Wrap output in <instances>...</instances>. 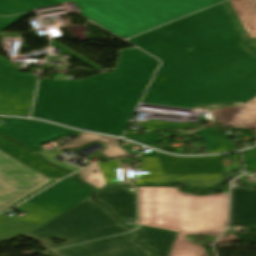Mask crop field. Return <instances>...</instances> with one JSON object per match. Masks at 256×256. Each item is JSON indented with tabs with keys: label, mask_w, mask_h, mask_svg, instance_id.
Instances as JSON below:
<instances>
[{
	"label": "crop field",
	"mask_w": 256,
	"mask_h": 256,
	"mask_svg": "<svg viewBox=\"0 0 256 256\" xmlns=\"http://www.w3.org/2000/svg\"><path fill=\"white\" fill-rule=\"evenodd\" d=\"M220 174L214 175H182V176H153V177H144L145 184L148 182L154 183H167L173 180H184L190 183V185H201L204 187L211 186L220 181ZM194 180H199L200 183H194Z\"/></svg>",
	"instance_id": "obj_17"
},
{
	"label": "crop field",
	"mask_w": 256,
	"mask_h": 256,
	"mask_svg": "<svg viewBox=\"0 0 256 256\" xmlns=\"http://www.w3.org/2000/svg\"><path fill=\"white\" fill-rule=\"evenodd\" d=\"M93 141H99V142L107 143V144H115L103 136L84 133V134L72 139L71 141L67 142L66 144L62 145L61 147L55 148V150L78 148L83 145L89 144Z\"/></svg>",
	"instance_id": "obj_18"
},
{
	"label": "crop field",
	"mask_w": 256,
	"mask_h": 256,
	"mask_svg": "<svg viewBox=\"0 0 256 256\" xmlns=\"http://www.w3.org/2000/svg\"><path fill=\"white\" fill-rule=\"evenodd\" d=\"M176 187H139L140 224L179 232L169 256H208L184 235L218 236L227 225L228 186L220 195L194 196Z\"/></svg>",
	"instance_id": "obj_1"
},
{
	"label": "crop field",
	"mask_w": 256,
	"mask_h": 256,
	"mask_svg": "<svg viewBox=\"0 0 256 256\" xmlns=\"http://www.w3.org/2000/svg\"><path fill=\"white\" fill-rule=\"evenodd\" d=\"M37 154H39V155L43 156L44 158H46V159H48V160L54 162L55 165H57V166H60V167H63V168H66V169H69V170H72V171H74V170L77 169V168H74V167H71V166H68V165H62V164L58 163V161H56V160L53 158V156L56 155V154H58V152H44V151H43V152H39V153H37ZM48 160H47V161H48Z\"/></svg>",
	"instance_id": "obj_28"
},
{
	"label": "crop field",
	"mask_w": 256,
	"mask_h": 256,
	"mask_svg": "<svg viewBox=\"0 0 256 256\" xmlns=\"http://www.w3.org/2000/svg\"><path fill=\"white\" fill-rule=\"evenodd\" d=\"M206 142L207 153H218L237 149L235 144L229 142L225 136L215 129H203L199 132Z\"/></svg>",
	"instance_id": "obj_16"
},
{
	"label": "crop field",
	"mask_w": 256,
	"mask_h": 256,
	"mask_svg": "<svg viewBox=\"0 0 256 256\" xmlns=\"http://www.w3.org/2000/svg\"><path fill=\"white\" fill-rule=\"evenodd\" d=\"M51 46L61 48V50H60V53H59V54H68V55H70V56H72V57L76 58L77 60H79V61H81V62L85 63L86 65H88V66H90V67L94 68L95 70L100 69L99 67H97V66L93 65L92 63H90V62L86 61L85 59H83V58H81V57L77 56L76 54H74V53H72V52L68 51L67 49H65V48L61 47L60 45H58V44H56V43H54V42H51Z\"/></svg>",
	"instance_id": "obj_27"
},
{
	"label": "crop field",
	"mask_w": 256,
	"mask_h": 256,
	"mask_svg": "<svg viewBox=\"0 0 256 256\" xmlns=\"http://www.w3.org/2000/svg\"><path fill=\"white\" fill-rule=\"evenodd\" d=\"M232 155L234 157L235 162L230 163L231 166H229L228 170H225L226 172L237 171V170L241 169L240 164H239V155H238V153L232 154Z\"/></svg>",
	"instance_id": "obj_29"
},
{
	"label": "crop field",
	"mask_w": 256,
	"mask_h": 256,
	"mask_svg": "<svg viewBox=\"0 0 256 256\" xmlns=\"http://www.w3.org/2000/svg\"><path fill=\"white\" fill-rule=\"evenodd\" d=\"M231 223L256 227V189L232 187Z\"/></svg>",
	"instance_id": "obj_12"
},
{
	"label": "crop field",
	"mask_w": 256,
	"mask_h": 256,
	"mask_svg": "<svg viewBox=\"0 0 256 256\" xmlns=\"http://www.w3.org/2000/svg\"><path fill=\"white\" fill-rule=\"evenodd\" d=\"M142 236L138 241L152 249L156 256H168L178 233L142 227L138 229Z\"/></svg>",
	"instance_id": "obj_14"
},
{
	"label": "crop field",
	"mask_w": 256,
	"mask_h": 256,
	"mask_svg": "<svg viewBox=\"0 0 256 256\" xmlns=\"http://www.w3.org/2000/svg\"><path fill=\"white\" fill-rule=\"evenodd\" d=\"M18 208L32 214L18 222L3 214H0V241L11 240L46 223L58 215L28 201L24 202Z\"/></svg>",
	"instance_id": "obj_10"
},
{
	"label": "crop field",
	"mask_w": 256,
	"mask_h": 256,
	"mask_svg": "<svg viewBox=\"0 0 256 256\" xmlns=\"http://www.w3.org/2000/svg\"><path fill=\"white\" fill-rule=\"evenodd\" d=\"M131 186L109 187L95 194V199L104 203L117 217L137 220L136 194L128 192Z\"/></svg>",
	"instance_id": "obj_11"
},
{
	"label": "crop field",
	"mask_w": 256,
	"mask_h": 256,
	"mask_svg": "<svg viewBox=\"0 0 256 256\" xmlns=\"http://www.w3.org/2000/svg\"><path fill=\"white\" fill-rule=\"evenodd\" d=\"M102 153L105 156H107L109 159L132 156L131 154L127 153L125 150H123L120 147L109 146V145H107L106 150L103 151Z\"/></svg>",
	"instance_id": "obj_25"
},
{
	"label": "crop field",
	"mask_w": 256,
	"mask_h": 256,
	"mask_svg": "<svg viewBox=\"0 0 256 256\" xmlns=\"http://www.w3.org/2000/svg\"><path fill=\"white\" fill-rule=\"evenodd\" d=\"M126 137H128L131 140L147 144V145H154L160 141H162V138H159L156 136L155 132L151 131L143 136L135 135V134H130V133H125Z\"/></svg>",
	"instance_id": "obj_22"
},
{
	"label": "crop field",
	"mask_w": 256,
	"mask_h": 256,
	"mask_svg": "<svg viewBox=\"0 0 256 256\" xmlns=\"http://www.w3.org/2000/svg\"><path fill=\"white\" fill-rule=\"evenodd\" d=\"M129 230L131 229L114 219L103 205L88 197L22 236L39 241L44 249L49 250ZM49 238L68 240L69 243L55 246Z\"/></svg>",
	"instance_id": "obj_3"
},
{
	"label": "crop field",
	"mask_w": 256,
	"mask_h": 256,
	"mask_svg": "<svg viewBox=\"0 0 256 256\" xmlns=\"http://www.w3.org/2000/svg\"><path fill=\"white\" fill-rule=\"evenodd\" d=\"M59 4L57 0H0V16H10L33 8ZM27 14L0 17V32ZM10 61L0 57V114L29 116L37 77L19 73Z\"/></svg>",
	"instance_id": "obj_4"
},
{
	"label": "crop field",
	"mask_w": 256,
	"mask_h": 256,
	"mask_svg": "<svg viewBox=\"0 0 256 256\" xmlns=\"http://www.w3.org/2000/svg\"><path fill=\"white\" fill-rule=\"evenodd\" d=\"M247 44L250 45L254 50H256V38L249 40Z\"/></svg>",
	"instance_id": "obj_30"
},
{
	"label": "crop field",
	"mask_w": 256,
	"mask_h": 256,
	"mask_svg": "<svg viewBox=\"0 0 256 256\" xmlns=\"http://www.w3.org/2000/svg\"><path fill=\"white\" fill-rule=\"evenodd\" d=\"M142 170H149V175H142L140 181L133 184H144L143 176L163 175L158 157H142Z\"/></svg>",
	"instance_id": "obj_20"
},
{
	"label": "crop field",
	"mask_w": 256,
	"mask_h": 256,
	"mask_svg": "<svg viewBox=\"0 0 256 256\" xmlns=\"http://www.w3.org/2000/svg\"><path fill=\"white\" fill-rule=\"evenodd\" d=\"M0 118L7 122V124L0 126V133L28 146L35 152L42 151L40 144L51 139L65 135L69 132L76 134L80 133L79 131L65 129L41 121Z\"/></svg>",
	"instance_id": "obj_7"
},
{
	"label": "crop field",
	"mask_w": 256,
	"mask_h": 256,
	"mask_svg": "<svg viewBox=\"0 0 256 256\" xmlns=\"http://www.w3.org/2000/svg\"><path fill=\"white\" fill-rule=\"evenodd\" d=\"M211 111L219 125L227 124L244 129L256 128V97L242 106Z\"/></svg>",
	"instance_id": "obj_13"
},
{
	"label": "crop field",
	"mask_w": 256,
	"mask_h": 256,
	"mask_svg": "<svg viewBox=\"0 0 256 256\" xmlns=\"http://www.w3.org/2000/svg\"><path fill=\"white\" fill-rule=\"evenodd\" d=\"M223 5H224V7H225V9H226V11H227V13H228V15L230 16L231 20L233 21V23H234V25H235V27H236V29H237V31H238L240 37H241V39H240V41H239L238 44H239L240 46H242L250 55H253V56L256 57V52H254L252 49H250V48L244 43V42H246L247 38L245 37V34H244L243 30L241 29L239 23L237 22V19H236V17H235L234 14H233V11H232L230 5L228 4L227 1H226V2H223Z\"/></svg>",
	"instance_id": "obj_21"
},
{
	"label": "crop field",
	"mask_w": 256,
	"mask_h": 256,
	"mask_svg": "<svg viewBox=\"0 0 256 256\" xmlns=\"http://www.w3.org/2000/svg\"><path fill=\"white\" fill-rule=\"evenodd\" d=\"M250 39L256 37V0H230Z\"/></svg>",
	"instance_id": "obj_15"
},
{
	"label": "crop field",
	"mask_w": 256,
	"mask_h": 256,
	"mask_svg": "<svg viewBox=\"0 0 256 256\" xmlns=\"http://www.w3.org/2000/svg\"><path fill=\"white\" fill-rule=\"evenodd\" d=\"M51 179L0 151V211Z\"/></svg>",
	"instance_id": "obj_5"
},
{
	"label": "crop field",
	"mask_w": 256,
	"mask_h": 256,
	"mask_svg": "<svg viewBox=\"0 0 256 256\" xmlns=\"http://www.w3.org/2000/svg\"><path fill=\"white\" fill-rule=\"evenodd\" d=\"M162 145H159V144H157V145H155V146H153L154 148H156V149H158V148H160Z\"/></svg>",
	"instance_id": "obj_31"
},
{
	"label": "crop field",
	"mask_w": 256,
	"mask_h": 256,
	"mask_svg": "<svg viewBox=\"0 0 256 256\" xmlns=\"http://www.w3.org/2000/svg\"><path fill=\"white\" fill-rule=\"evenodd\" d=\"M246 169L256 168V148L244 151Z\"/></svg>",
	"instance_id": "obj_26"
},
{
	"label": "crop field",
	"mask_w": 256,
	"mask_h": 256,
	"mask_svg": "<svg viewBox=\"0 0 256 256\" xmlns=\"http://www.w3.org/2000/svg\"><path fill=\"white\" fill-rule=\"evenodd\" d=\"M99 166L107 182V185H112L110 179L113 177H117L115 173V168L119 167L118 161L99 163Z\"/></svg>",
	"instance_id": "obj_23"
},
{
	"label": "crop field",
	"mask_w": 256,
	"mask_h": 256,
	"mask_svg": "<svg viewBox=\"0 0 256 256\" xmlns=\"http://www.w3.org/2000/svg\"><path fill=\"white\" fill-rule=\"evenodd\" d=\"M88 191V187L66 178L28 201L60 214L85 199Z\"/></svg>",
	"instance_id": "obj_8"
},
{
	"label": "crop field",
	"mask_w": 256,
	"mask_h": 256,
	"mask_svg": "<svg viewBox=\"0 0 256 256\" xmlns=\"http://www.w3.org/2000/svg\"><path fill=\"white\" fill-rule=\"evenodd\" d=\"M138 233L133 231L55 251L56 256H152V254L134 242Z\"/></svg>",
	"instance_id": "obj_6"
},
{
	"label": "crop field",
	"mask_w": 256,
	"mask_h": 256,
	"mask_svg": "<svg viewBox=\"0 0 256 256\" xmlns=\"http://www.w3.org/2000/svg\"><path fill=\"white\" fill-rule=\"evenodd\" d=\"M73 1L80 14L128 38L223 0H58Z\"/></svg>",
	"instance_id": "obj_2"
},
{
	"label": "crop field",
	"mask_w": 256,
	"mask_h": 256,
	"mask_svg": "<svg viewBox=\"0 0 256 256\" xmlns=\"http://www.w3.org/2000/svg\"><path fill=\"white\" fill-rule=\"evenodd\" d=\"M94 170H96L98 173L93 174L91 171ZM78 174L80 178L83 179V181L93 184L96 187V189L106 186V182L101 174L98 164L89 166L78 172Z\"/></svg>",
	"instance_id": "obj_19"
},
{
	"label": "crop field",
	"mask_w": 256,
	"mask_h": 256,
	"mask_svg": "<svg viewBox=\"0 0 256 256\" xmlns=\"http://www.w3.org/2000/svg\"><path fill=\"white\" fill-rule=\"evenodd\" d=\"M142 156H159L164 175L181 174H214L223 173L224 167L219 156L198 158H177L155 154H142Z\"/></svg>",
	"instance_id": "obj_9"
},
{
	"label": "crop field",
	"mask_w": 256,
	"mask_h": 256,
	"mask_svg": "<svg viewBox=\"0 0 256 256\" xmlns=\"http://www.w3.org/2000/svg\"><path fill=\"white\" fill-rule=\"evenodd\" d=\"M141 103L195 108V106H191V105H180V104H169V103H158V102H147V101H141ZM238 105L239 104L236 102H231V103L201 105V106H197L196 109H202V108L215 109V108L231 107V106H238Z\"/></svg>",
	"instance_id": "obj_24"
}]
</instances>
